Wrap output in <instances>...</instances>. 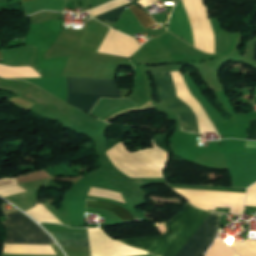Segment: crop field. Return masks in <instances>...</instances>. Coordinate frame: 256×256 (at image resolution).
<instances>
[{
	"label": "crop field",
	"mask_w": 256,
	"mask_h": 256,
	"mask_svg": "<svg viewBox=\"0 0 256 256\" xmlns=\"http://www.w3.org/2000/svg\"><path fill=\"white\" fill-rule=\"evenodd\" d=\"M182 196L189 199L191 203L199 208L206 210H215L216 207L231 208L230 214L239 216L242 209V204L245 194L224 193V192H209V191H194L174 189Z\"/></svg>",
	"instance_id": "crop-field-5"
},
{
	"label": "crop field",
	"mask_w": 256,
	"mask_h": 256,
	"mask_svg": "<svg viewBox=\"0 0 256 256\" xmlns=\"http://www.w3.org/2000/svg\"><path fill=\"white\" fill-rule=\"evenodd\" d=\"M0 60H1V52H0Z\"/></svg>",
	"instance_id": "crop-field-13"
},
{
	"label": "crop field",
	"mask_w": 256,
	"mask_h": 256,
	"mask_svg": "<svg viewBox=\"0 0 256 256\" xmlns=\"http://www.w3.org/2000/svg\"><path fill=\"white\" fill-rule=\"evenodd\" d=\"M152 75L157 85L159 100L177 114L180 129L195 134L203 133L192 109L176 98L170 73L160 72Z\"/></svg>",
	"instance_id": "crop-field-3"
},
{
	"label": "crop field",
	"mask_w": 256,
	"mask_h": 256,
	"mask_svg": "<svg viewBox=\"0 0 256 256\" xmlns=\"http://www.w3.org/2000/svg\"><path fill=\"white\" fill-rule=\"evenodd\" d=\"M254 60L256 61V44H255V50H254Z\"/></svg>",
	"instance_id": "crop-field-11"
},
{
	"label": "crop field",
	"mask_w": 256,
	"mask_h": 256,
	"mask_svg": "<svg viewBox=\"0 0 256 256\" xmlns=\"http://www.w3.org/2000/svg\"><path fill=\"white\" fill-rule=\"evenodd\" d=\"M248 139L256 140V120L250 122Z\"/></svg>",
	"instance_id": "crop-field-10"
},
{
	"label": "crop field",
	"mask_w": 256,
	"mask_h": 256,
	"mask_svg": "<svg viewBox=\"0 0 256 256\" xmlns=\"http://www.w3.org/2000/svg\"><path fill=\"white\" fill-rule=\"evenodd\" d=\"M26 1H29V0H21L22 3H23V2H26Z\"/></svg>",
	"instance_id": "crop-field-12"
},
{
	"label": "crop field",
	"mask_w": 256,
	"mask_h": 256,
	"mask_svg": "<svg viewBox=\"0 0 256 256\" xmlns=\"http://www.w3.org/2000/svg\"><path fill=\"white\" fill-rule=\"evenodd\" d=\"M87 207L97 208L102 210H107L115 213L123 222L127 223L128 221L135 220L134 216L130 214L126 209L121 206L113 205L107 202L102 201H87Z\"/></svg>",
	"instance_id": "crop-field-7"
},
{
	"label": "crop field",
	"mask_w": 256,
	"mask_h": 256,
	"mask_svg": "<svg viewBox=\"0 0 256 256\" xmlns=\"http://www.w3.org/2000/svg\"><path fill=\"white\" fill-rule=\"evenodd\" d=\"M68 92L121 96L115 81L66 77ZM68 93V104L89 113L100 98H122Z\"/></svg>",
	"instance_id": "crop-field-2"
},
{
	"label": "crop field",
	"mask_w": 256,
	"mask_h": 256,
	"mask_svg": "<svg viewBox=\"0 0 256 256\" xmlns=\"http://www.w3.org/2000/svg\"><path fill=\"white\" fill-rule=\"evenodd\" d=\"M61 247L89 246L87 233H50Z\"/></svg>",
	"instance_id": "crop-field-6"
},
{
	"label": "crop field",
	"mask_w": 256,
	"mask_h": 256,
	"mask_svg": "<svg viewBox=\"0 0 256 256\" xmlns=\"http://www.w3.org/2000/svg\"><path fill=\"white\" fill-rule=\"evenodd\" d=\"M198 209L186 204L183 211L166 222L167 233L154 238L120 240L157 256H187L200 214ZM222 213L202 212L188 256H202L216 237ZM216 239V238H215Z\"/></svg>",
	"instance_id": "crop-field-1"
},
{
	"label": "crop field",
	"mask_w": 256,
	"mask_h": 256,
	"mask_svg": "<svg viewBox=\"0 0 256 256\" xmlns=\"http://www.w3.org/2000/svg\"><path fill=\"white\" fill-rule=\"evenodd\" d=\"M133 3L127 4L125 6H122L118 9H115L113 11H110L108 13H105L103 15L98 16L97 18L107 22L108 24L114 22L115 20H117L119 18V16L121 15V13Z\"/></svg>",
	"instance_id": "crop-field-9"
},
{
	"label": "crop field",
	"mask_w": 256,
	"mask_h": 256,
	"mask_svg": "<svg viewBox=\"0 0 256 256\" xmlns=\"http://www.w3.org/2000/svg\"><path fill=\"white\" fill-rule=\"evenodd\" d=\"M1 222L6 236L3 243L12 244H55L47 234L29 218L16 211L5 216Z\"/></svg>",
	"instance_id": "crop-field-4"
},
{
	"label": "crop field",
	"mask_w": 256,
	"mask_h": 256,
	"mask_svg": "<svg viewBox=\"0 0 256 256\" xmlns=\"http://www.w3.org/2000/svg\"><path fill=\"white\" fill-rule=\"evenodd\" d=\"M133 14L137 17L140 24L143 26L144 29L155 25L156 23L152 20L149 14H147L143 9L136 6L135 4L128 7Z\"/></svg>",
	"instance_id": "crop-field-8"
}]
</instances>
